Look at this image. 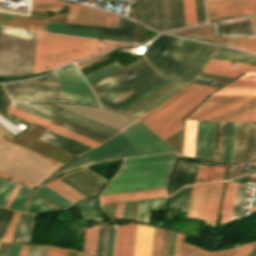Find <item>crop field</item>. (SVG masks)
<instances>
[{
    "label": "crop field",
    "instance_id": "8a807250",
    "mask_svg": "<svg viewBox=\"0 0 256 256\" xmlns=\"http://www.w3.org/2000/svg\"><path fill=\"white\" fill-rule=\"evenodd\" d=\"M211 58L256 66V57L250 54L171 36L157 46L147 61L160 75L188 87L192 82L218 87L227 80L199 75Z\"/></svg>",
    "mask_w": 256,
    "mask_h": 256
},
{
    "label": "crop field",
    "instance_id": "ac0d7876",
    "mask_svg": "<svg viewBox=\"0 0 256 256\" xmlns=\"http://www.w3.org/2000/svg\"><path fill=\"white\" fill-rule=\"evenodd\" d=\"M117 45L128 44L37 32L34 73L101 53Z\"/></svg>",
    "mask_w": 256,
    "mask_h": 256
},
{
    "label": "crop field",
    "instance_id": "34b2d1b8",
    "mask_svg": "<svg viewBox=\"0 0 256 256\" xmlns=\"http://www.w3.org/2000/svg\"><path fill=\"white\" fill-rule=\"evenodd\" d=\"M175 153L126 159L101 195L166 187Z\"/></svg>",
    "mask_w": 256,
    "mask_h": 256
},
{
    "label": "crop field",
    "instance_id": "412701ff",
    "mask_svg": "<svg viewBox=\"0 0 256 256\" xmlns=\"http://www.w3.org/2000/svg\"><path fill=\"white\" fill-rule=\"evenodd\" d=\"M35 38L36 32L0 26V75L33 73Z\"/></svg>",
    "mask_w": 256,
    "mask_h": 256
},
{
    "label": "crop field",
    "instance_id": "f4fd0767",
    "mask_svg": "<svg viewBox=\"0 0 256 256\" xmlns=\"http://www.w3.org/2000/svg\"><path fill=\"white\" fill-rule=\"evenodd\" d=\"M214 89L215 87L193 83L169 105L141 121L163 140L181 130L182 119Z\"/></svg>",
    "mask_w": 256,
    "mask_h": 256
},
{
    "label": "crop field",
    "instance_id": "dd49c442",
    "mask_svg": "<svg viewBox=\"0 0 256 256\" xmlns=\"http://www.w3.org/2000/svg\"><path fill=\"white\" fill-rule=\"evenodd\" d=\"M59 166L3 140L0 133V170L37 185Z\"/></svg>",
    "mask_w": 256,
    "mask_h": 256
},
{
    "label": "crop field",
    "instance_id": "e52e79f7",
    "mask_svg": "<svg viewBox=\"0 0 256 256\" xmlns=\"http://www.w3.org/2000/svg\"><path fill=\"white\" fill-rule=\"evenodd\" d=\"M166 78L160 76L149 64L140 70L132 78L126 80L120 85L114 87L108 92L97 97L100 105L112 109L119 110L134 100L140 98L146 93L150 92L160 83H162ZM132 91L133 93L127 97L121 99L118 102H113L112 100L121 96L122 94Z\"/></svg>",
    "mask_w": 256,
    "mask_h": 256
},
{
    "label": "crop field",
    "instance_id": "d8731c3e",
    "mask_svg": "<svg viewBox=\"0 0 256 256\" xmlns=\"http://www.w3.org/2000/svg\"><path fill=\"white\" fill-rule=\"evenodd\" d=\"M142 8L144 24L154 29L185 26L183 0H142Z\"/></svg>",
    "mask_w": 256,
    "mask_h": 256
},
{
    "label": "crop field",
    "instance_id": "5a996713",
    "mask_svg": "<svg viewBox=\"0 0 256 256\" xmlns=\"http://www.w3.org/2000/svg\"><path fill=\"white\" fill-rule=\"evenodd\" d=\"M64 5L69 11L67 23L117 27L118 16L116 15L59 0H32L31 10L57 11L63 9Z\"/></svg>",
    "mask_w": 256,
    "mask_h": 256
},
{
    "label": "crop field",
    "instance_id": "3316defc",
    "mask_svg": "<svg viewBox=\"0 0 256 256\" xmlns=\"http://www.w3.org/2000/svg\"><path fill=\"white\" fill-rule=\"evenodd\" d=\"M222 184L215 182L193 186L186 218L206 220V225L211 218L210 226H213Z\"/></svg>",
    "mask_w": 256,
    "mask_h": 256
},
{
    "label": "crop field",
    "instance_id": "28ad6ade",
    "mask_svg": "<svg viewBox=\"0 0 256 256\" xmlns=\"http://www.w3.org/2000/svg\"><path fill=\"white\" fill-rule=\"evenodd\" d=\"M187 119L256 122V105L203 104Z\"/></svg>",
    "mask_w": 256,
    "mask_h": 256
},
{
    "label": "crop field",
    "instance_id": "d1516ede",
    "mask_svg": "<svg viewBox=\"0 0 256 256\" xmlns=\"http://www.w3.org/2000/svg\"><path fill=\"white\" fill-rule=\"evenodd\" d=\"M64 25L65 24L46 22L43 31L79 35V36H86V37H93V38H101V39H108V40H114V41H125V42H131V38H126V37H132V42H135L136 30H132V29L76 25V24L65 25L70 27L98 29V32H97V30L70 28V27H64ZM96 32L97 34H102V35H114V36H126V37L102 36V35H96Z\"/></svg>",
    "mask_w": 256,
    "mask_h": 256
},
{
    "label": "crop field",
    "instance_id": "22f410ed",
    "mask_svg": "<svg viewBox=\"0 0 256 256\" xmlns=\"http://www.w3.org/2000/svg\"><path fill=\"white\" fill-rule=\"evenodd\" d=\"M72 103L99 106L76 66L71 64L55 71Z\"/></svg>",
    "mask_w": 256,
    "mask_h": 256
},
{
    "label": "crop field",
    "instance_id": "cbeb9de0",
    "mask_svg": "<svg viewBox=\"0 0 256 256\" xmlns=\"http://www.w3.org/2000/svg\"><path fill=\"white\" fill-rule=\"evenodd\" d=\"M146 155L121 133L84 156L93 164L131 156Z\"/></svg>",
    "mask_w": 256,
    "mask_h": 256
},
{
    "label": "crop field",
    "instance_id": "5142ce71",
    "mask_svg": "<svg viewBox=\"0 0 256 256\" xmlns=\"http://www.w3.org/2000/svg\"><path fill=\"white\" fill-rule=\"evenodd\" d=\"M55 105L65 108L69 111H72L76 114L84 116L93 121H96L107 127L115 129L119 132L123 131L128 126L137 122V120L129 116H126L124 114H121L112 110L99 109V108H93V107H87V106H81V105H65V104H55Z\"/></svg>",
    "mask_w": 256,
    "mask_h": 256
},
{
    "label": "crop field",
    "instance_id": "d9b57169",
    "mask_svg": "<svg viewBox=\"0 0 256 256\" xmlns=\"http://www.w3.org/2000/svg\"><path fill=\"white\" fill-rule=\"evenodd\" d=\"M239 2V4H237ZM208 22L256 13V0H206Z\"/></svg>",
    "mask_w": 256,
    "mask_h": 256
},
{
    "label": "crop field",
    "instance_id": "733c2abd",
    "mask_svg": "<svg viewBox=\"0 0 256 256\" xmlns=\"http://www.w3.org/2000/svg\"><path fill=\"white\" fill-rule=\"evenodd\" d=\"M256 155V125L236 123L232 162H250Z\"/></svg>",
    "mask_w": 256,
    "mask_h": 256
},
{
    "label": "crop field",
    "instance_id": "4a817a6b",
    "mask_svg": "<svg viewBox=\"0 0 256 256\" xmlns=\"http://www.w3.org/2000/svg\"><path fill=\"white\" fill-rule=\"evenodd\" d=\"M121 133L147 155L173 152L139 122Z\"/></svg>",
    "mask_w": 256,
    "mask_h": 256
},
{
    "label": "crop field",
    "instance_id": "bc2a9ffb",
    "mask_svg": "<svg viewBox=\"0 0 256 256\" xmlns=\"http://www.w3.org/2000/svg\"><path fill=\"white\" fill-rule=\"evenodd\" d=\"M27 105H30L32 107H35L39 110H42L46 113H49L51 115H54L58 118H61L63 120H66L70 123H73L77 126H80L82 128H85L89 131H92L96 134H99L101 136H104L108 139L112 138L114 135L118 134L119 132L117 131H114L110 128H107L105 126H102L98 123H95L93 121H90L86 118H83L81 116H78L76 114H73L69 111H66L64 109H61L57 106H54L52 104H28V103H25ZM63 111V112H62Z\"/></svg>",
    "mask_w": 256,
    "mask_h": 256
},
{
    "label": "crop field",
    "instance_id": "214f88e0",
    "mask_svg": "<svg viewBox=\"0 0 256 256\" xmlns=\"http://www.w3.org/2000/svg\"><path fill=\"white\" fill-rule=\"evenodd\" d=\"M58 180L81 192L87 197L97 195L107 181L87 168L66 175Z\"/></svg>",
    "mask_w": 256,
    "mask_h": 256
},
{
    "label": "crop field",
    "instance_id": "92a150f3",
    "mask_svg": "<svg viewBox=\"0 0 256 256\" xmlns=\"http://www.w3.org/2000/svg\"><path fill=\"white\" fill-rule=\"evenodd\" d=\"M216 122L198 121L194 157L212 161Z\"/></svg>",
    "mask_w": 256,
    "mask_h": 256
},
{
    "label": "crop field",
    "instance_id": "dafd665d",
    "mask_svg": "<svg viewBox=\"0 0 256 256\" xmlns=\"http://www.w3.org/2000/svg\"><path fill=\"white\" fill-rule=\"evenodd\" d=\"M169 33L178 34L234 48L237 47L238 42L240 40V37H217L214 33V24L178 31H171Z\"/></svg>",
    "mask_w": 256,
    "mask_h": 256
},
{
    "label": "crop field",
    "instance_id": "00972430",
    "mask_svg": "<svg viewBox=\"0 0 256 256\" xmlns=\"http://www.w3.org/2000/svg\"><path fill=\"white\" fill-rule=\"evenodd\" d=\"M183 236L184 235L177 234L174 256H245L255 244L251 243L236 249L209 253L197 247L182 243L181 240Z\"/></svg>",
    "mask_w": 256,
    "mask_h": 256
},
{
    "label": "crop field",
    "instance_id": "a9b5d70f",
    "mask_svg": "<svg viewBox=\"0 0 256 256\" xmlns=\"http://www.w3.org/2000/svg\"><path fill=\"white\" fill-rule=\"evenodd\" d=\"M12 106L15 107V108H18V109H20V110H22V111H25V112H27V113H30V114H32V115H35V116H37V117H39V118H42V119H44V120H47V121L52 122V123H54V124H57V125H59V126H61V127H64V128L69 129V130H71V131H74V132H76V133H78V134H81V135H83V136H86V137H88V138H91V139H93V140H95V141H98V142H100V143H103V142H105V141L108 140V139H106V138H104V137H101V136L96 135V134H94V133H92V132H89V131H87V130H85V129H82V128H80V127H77V126H75V125H73V124H70V123H68V122H65V121H63V120H61V119H58V118H56V117H54V116H51V115H49V114H46V113H44V112H42V111H39V110H37V109H35V108H32V107H30V106H27V105H25V104H23V103H13Z\"/></svg>",
    "mask_w": 256,
    "mask_h": 256
},
{
    "label": "crop field",
    "instance_id": "4177f3b9",
    "mask_svg": "<svg viewBox=\"0 0 256 256\" xmlns=\"http://www.w3.org/2000/svg\"><path fill=\"white\" fill-rule=\"evenodd\" d=\"M10 113H12V114H14L16 116H19V117H21V118H23L25 120H28V121H30V122H32L34 124L43 126V127L48 128L50 130H53V131H55L57 133H60V134H62L64 136H67V137H69L71 139H74V140H76L78 142H81V143H83L85 145H88V146H90L92 148H94V147H96V146H98L100 144V143L95 142V141H93L91 139H88L86 137L78 135V134H76L74 132H71V131L66 130L64 128H61L59 126H56V125H54L52 123H49V122L44 121L42 119H39V118H37L35 116H32V115L27 114L25 112H22V111H20L18 109H15L13 107L11 108Z\"/></svg>",
    "mask_w": 256,
    "mask_h": 256
},
{
    "label": "crop field",
    "instance_id": "730fd06b",
    "mask_svg": "<svg viewBox=\"0 0 256 256\" xmlns=\"http://www.w3.org/2000/svg\"><path fill=\"white\" fill-rule=\"evenodd\" d=\"M40 140L54 147L67 151L71 154H74L76 156H79L92 149L88 146H85L81 143H78L74 140H71L67 137H64L60 134H57L49 130L45 131V133L41 136Z\"/></svg>",
    "mask_w": 256,
    "mask_h": 256
},
{
    "label": "crop field",
    "instance_id": "eef30255",
    "mask_svg": "<svg viewBox=\"0 0 256 256\" xmlns=\"http://www.w3.org/2000/svg\"><path fill=\"white\" fill-rule=\"evenodd\" d=\"M203 72L234 78L243 72H256V67L211 59Z\"/></svg>",
    "mask_w": 256,
    "mask_h": 256
},
{
    "label": "crop field",
    "instance_id": "ae1a2a85",
    "mask_svg": "<svg viewBox=\"0 0 256 256\" xmlns=\"http://www.w3.org/2000/svg\"><path fill=\"white\" fill-rule=\"evenodd\" d=\"M136 225L117 227L114 256H133Z\"/></svg>",
    "mask_w": 256,
    "mask_h": 256
},
{
    "label": "crop field",
    "instance_id": "d3111659",
    "mask_svg": "<svg viewBox=\"0 0 256 256\" xmlns=\"http://www.w3.org/2000/svg\"><path fill=\"white\" fill-rule=\"evenodd\" d=\"M154 228L137 225L134 256H150Z\"/></svg>",
    "mask_w": 256,
    "mask_h": 256
},
{
    "label": "crop field",
    "instance_id": "750c4746",
    "mask_svg": "<svg viewBox=\"0 0 256 256\" xmlns=\"http://www.w3.org/2000/svg\"><path fill=\"white\" fill-rule=\"evenodd\" d=\"M166 188L101 196V203L165 196Z\"/></svg>",
    "mask_w": 256,
    "mask_h": 256
},
{
    "label": "crop field",
    "instance_id": "bd1437ed",
    "mask_svg": "<svg viewBox=\"0 0 256 256\" xmlns=\"http://www.w3.org/2000/svg\"><path fill=\"white\" fill-rule=\"evenodd\" d=\"M181 87H183V85L175 82L169 88H167L165 91H163L160 95H158L156 98L152 99L151 101L147 102L146 104H144L141 107L137 108L136 110L132 111L128 115L135 117V118L141 116L142 114L146 113L147 111H149V110L153 109L154 107L158 106L159 104L163 103L170 96H172L176 91H178Z\"/></svg>",
    "mask_w": 256,
    "mask_h": 256
},
{
    "label": "crop field",
    "instance_id": "1d83c4d3",
    "mask_svg": "<svg viewBox=\"0 0 256 256\" xmlns=\"http://www.w3.org/2000/svg\"><path fill=\"white\" fill-rule=\"evenodd\" d=\"M246 19H249V18H243V19H237V20H246ZM237 20H228V21H222V22L237 21ZM222 22H220L221 34L253 36L250 20L229 22V23H222Z\"/></svg>",
    "mask_w": 256,
    "mask_h": 256
},
{
    "label": "crop field",
    "instance_id": "120bbe31",
    "mask_svg": "<svg viewBox=\"0 0 256 256\" xmlns=\"http://www.w3.org/2000/svg\"><path fill=\"white\" fill-rule=\"evenodd\" d=\"M167 198L139 201L137 221L148 222L149 210L164 209Z\"/></svg>",
    "mask_w": 256,
    "mask_h": 256
},
{
    "label": "crop field",
    "instance_id": "d32e631a",
    "mask_svg": "<svg viewBox=\"0 0 256 256\" xmlns=\"http://www.w3.org/2000/svg\"><path fill=\"white\" fill-rule=\"evenodd\" d=\"M236 186L237 184H232V183H227L226 185L219 225L228 223L230 220Z\"/></svg>",
    "mask_w": 256,
    "mask_h": 256
},
{
    "label": "crop field",
    "instance_id": "5866460e",
    "mask_svg": "<svg viewBox=\"0 0 256 256\" xmlns=\"http://www.w3.org/2000/svg\"><path fill=\"white\" fill-rule=\"evenodd\" d=\"M44 23L45 22L42 21L0 15V25L22 27L42 31ZM35 25H37V27H34Z\"/></svg>",
    "mask_w": 256,
    "mask_h": 256
},
{
    "label": "crop field",
    "instance_id": "028f5c9d",
    "mask_svg": "<svg viewBox=\"0 0 256 256\" xmlns=\"http://www.w3.org/2000/svg\"><path fill=\"white\" fill-rule=\"evenodd\" d=\"M205 103L256 104V96L213 95Z\"/></svg>",
    "mask_w": 256,
    "mask_h": 256
},
{
    "label": "crop field",
    "instance_id": "e1f06a70",
    "mask_svg": "<svg viewBox=\"0 0 256 256\" xmlns=\"http://www.w3.org/2000/svg\"><path fill=\"white\" fill-rule=\"evenodd\" d=\"M196 121H186L182 154L192 156L194 153Z\"/></svg>",
    "mask_w": 256,
    "mask_h": 256
},
{
    "label": "crop field",
    "instance_id": "0bd39190",
    "mask_svg": "<svg viewBox=\"0 0 256 256\" xmlns=\"http://www.w3.org/2000/svg\"><path fill=\"white\" fill-rule=\"evenodd\" d=\"M235 123L226 122L221 162H231Z\"/></svg>",
    "mask_w": 256,
    "mask_h": 256
},
{
    "label": "crop field",
    "instance_id": "b80d0937",
    "mask_svg": "<svg viewBox=\"0 0 256 256\" xmlns=\"http://www.w3.org/2000/svg\"><path fill=\"white\" fill-rule=\"evenodd\" d=\"M46 186L73 203L84 198V196H82L81 194L74 191L73 189H71L70 187L66 186L65 184H63L62 182H60L58 180H56Z\"/></svg>",
    "mask_w": 256,
    "mask_h": 256
},
{
    "label": "crop field",
    "instance_id": "c035e120",
    "mask_svg": "<svg viewBox=\"0 0 256 256\" xmlns=\"http://www.w3.org/2000/svg\"><path fill=\"white\" fill-rule=\"evenodd\" d=\"M190 164L191 163L181 162V160L178 161L172 183L171 194L186 184Z\"/></svg>",
    "mask_w": 256,
    "mask_h": 256
},
{
    "label": "crop field",
    "instance_id": "c21b1889",
    "mask_svg": "<svg viewBox=\"0 0 256 256\" xmlns=\"http://www.w3.org/2000/svg\"><path fill=\"white\" fill-rule=\"evenodd\" d=\"M31 191H32L31 188H25V187L20 186L18 192L16 193L13 201L11 202V204L9 206V209L22 211L27 200H28V197H29Z\"/></svg>",
    "mask_w": 256,
    "mask_h": 256
},
{
    "label": "crop field",
    "instance_id": "03da06ac",
    "mask_svg": "<svg viewBox=\"0 0 256 256\" xmlns=\"http://www.w3.org/2000/svg\"><path fill=\"white\" fill-rule=\"evenodd\" d=\"M35 192H37L38 194L42 195L46 199L50 200L51 202H53L54 204H56L62 208L67 207L70 204H72L71 202H69L68 200L61 197L60 195H58L57 193L53 192L52 190H50L49 188H47L45 186L39 188Z\"/></svg>",
    "mask_w": 256,
    "mask_h": 256
},
{
    "label": "crop field",
    "instance_id": "b54c1fbb",
    "mask_svg": "<svg viewBox=\"0 0 256 256\" xmlns=\"http://www.w3.org/2000/svg\"><path fill=\"white\" fill-rule=\"evenodd\" d=\"M98 226L86 229L82 251L94 255Z\"/></svg>",
    "mask_w": 256,
    "mask_h": 256
},
{
    "label": "crop field",
    "instance_id": "5d738f31",
    "mask_svg": "<svg viewBox=\"0 0 256 256\" xmlns=\"http://www.w3.org/2000/svg\"><path fill=\"white\" fill-rule=\"evenodd\" d=\"M108 230L109 227L107 226H99L95 252L96 256H105L106 254Z\"/></svg>",
    "mask_w": 256,
    "mask_h": 256
},
{
    "label": "crop field",
    "instance_id": "d23c7cc5",
    "mask_svg": "<svg viewBox=\"0 0 256 256\" xmlns=\"http://www.w3.org/2000/svg\"><path fill=\"white\" fill-rule=\"evenodd\" d=\"M245 188H246V186H244V185L238 184V186H237V191H236V196H235V201H234V205H233V210H232V215H231L230 222L239 218Z\"/></svg>",
    "mask_w": 256,
    "mask_h": 256
},
{
    "label": "crop field",
    "instance_id": "425ffa30",
    "mask_svg": "<svg viewBox=\"0 0 256 256\" xmlns=\"http://www.w3.org/2000/svg\"><path fill=\"white\" fill-rule=\"evenodd\" d=\"M21 214L22 213L16 212V211L13 212L11 220L9 222V225L7 227V230L5 232V235L2 241H7V242L13 241L14 234H15L19 219L21 217Z\"/></svg>",
    "mask_w": 256,
    "mask_h": 256
},
{
    "label": "crop field",
    "instance_id": "25e5ab78",
    "mask_svg": "<svg viewBox=\"0 0 256 256\" xmlns=\"http://www.w3.org/2000/svg\"><path fill=\"white\" fill-rule=\"evenodd\" d=\"M14 187L15 184L0 181V206L4 207Z\"/></svg>",
    "mask_w": 256,
    "mask_h": 256
},
{
    "label": "crop field",
    "instance_id": "73cf0c24",
    "mask_svg": "<svg viewBox=\"0 0 256 256\" xmlns=\"http://www.w3.org/2000/svg\"><path fill=\"white\" fill-rule=\"evenodd\" d=\"M216 94L256 95V88H224Z\"/></svg>",
    "mask_w": 256,
    "mask_h": 256
},
{
    "label": "crop field",
    "instance_id": "89e229c0",
    "mask_svg": "<svg viewBox=\"0 0 256 256\" xmlns=\"http://www.w3.org/2000/svg\"><path fill=\"white\" fill-rule=\"evenodd\" d=\"M120 66L117 62L104 67L96 72H93L87 76H85L86 81L89 83L93 82L94 80L98 79L99 77L105 75L106 73L110 72L111 70L115 69L116 67Z\"/></svg>",
    "mask_w": 256,
    "mask_h": 256
},
{
    "label": "crop field",
    "instance_id": "1f2cbd36",
    "mask_svg": "<svg viewBox=\"0 0 256 256\" xmlns=\"http://www.w3.org/2000/svg\"><path fill=\"white\" fill-rule=\"evenodd\" d=\"M161 234H162V230L155 228L151 256H159Z\"/></svg>",
    "mask_w": 256,
    "mask_h": 256
},
{
    "label": "crop field",
    "instance_id": "dbb93151",
    "mask_svg": "<svg viewBox=\"0 0 256 256\" xmlns=\"http://www.w3.org/2000/svg\"><path fill=\"white\" fill-rule=\"evenodd\" d=\"M185 188L186 187L182 188L181 190L170 196L169 206L181 207Z\"/></svg>",
    "mask_w": 256,
    "mask_h": 256
},
{
    "label": "crop field",
    "instance_id": "0fb4a251",
    "mask_svg": "<svg viewBox=\"0 0 256 256\" xmlns=\"http://www.w3.org/2000/svg\"><path fill=\"white\" fill-rule=\"evenodd\" d=\"M89 202V199H85L77 204L82 212L84 219L93 217Z\"/></svg>",
    "mask_w": 256,
    "mask_h": 256
},
{
    "label": "crop field",
    "instance_id": "1d79db26",
    "mask_svg": "<svg viewBox=\"0 0 256 256\" xmlns=\"http://www.w3.org/2000/svg\"><path fill=\"white\" fill-rule=\"evenodd\" d=\"M186 90H187V87L184 86L177 93H175L172 97H170L167 101H165L163 104L159 105L158 107L154 108L153 110L147 112L146 114L142 115L141 117H139L137 119L141 120V119L145 118L146 116L152 114L153 112L157 111L158 109L166 106L168 103H170L172 100H174L176 97H178L180 94H182Z\"/></svg>",
    "mask_w": 256,
    "mask_h": 256
},
{
    "label": "crop field",
    "instance_id": "9d1cf04e",
    "mask_svg": "<svg viewBox=\"0 0 256 256\" xmlns=\"http://www.w3.org/2000/svg\"><path fill=\"white\" fill-rule=\"evenodd\" d=\"M238 48L253 51L256 53V38L242 39Z\"/></svg>",
    "mask_w": 256,
    "mask_h": 256
},
{
    "label": "crop field",
    "instance_id": "447ae74e",
    "mask_svg": "<svg viewBox=\"0 0 256 256\" xmlns=\"http://www.w3.org/2000/svg\"><path fill=\"white\" fill-rule=\"evenodd\" d=\"M197 24L205 23L203 0H195Z\"/></svg>",
    "mask_w": 256,
    "mask_h": 256
},
{
    "label": "crop field",
    "instance_id": "0765c3eb",
    "mask_svg": "<svg viewBox=\"0 0 256 256\" xmlns=\"http://www.w3.org/2000/svg\"><path fill=\"white\" fill-rule=\"evenodd\" d=\"M170 80L164 81L162 84H160L158 87H156L154 90H152L150 93L146 94L145 96L141 97L140 99L136 100L135 102L129 104L128 106L124 107L120 111L124 112L128 110L129 108L133 107L134 105L138 104L139 102L143 101L144 99L148 98L149 96L153 95L155 92H157L159 89H161L164 85H166Z\"/></svg>",
    "mask_w": 256,
    "mask_h": 256
},
{
    "label": "crop field",
    "instance_id": "db79e9e6",
    "mask_svg": "<svg viewBox=\"0 0 256 256\" xmlns=\"http://www.w3.org/2000/svg\"><path fill=\"white\" fill-rule=\"evenodd\" d=\"M167 37V35L165 34H161L160 36H158L155 40L152 41V43L150 44V46L147 48V50L145 51L144 55L147 58L150 56V54L153 52V50L156 48V46L165 38Z\"/></svg>",
    "mask_w": 256,
    "mask_h": 256
},
{
    "label": "crop field",
    "instance_id": "7b73153f",
    "mask_svg": "<svg viewBox=\"0 0 256 256\" xmlns=\"http://www.w3.org/2000/svg\"><path fill=\"white\" fill-rule=\"evenodd\" d=\"M224 168L225 167L214 166L209 182L221 180Z\"/></svg>",
    "mask_w": 256,
    "mask_h": 256
},
{
    "label": "crop field",
    "instance_id": "78b8030e",
    "mask_svg": "<svg viewBox=\"0 0 256 256\" xmlns=\"http://www.w3.org/2000/svg\"><path fill=\"white\" fill-rule=\"evenodd\" d=\"M227 87H256V80H238Z\"/></svg>",
    "mask_w": 256,
    "mask_h": 256
},
{
    "label": "crop field",
    "instance_id": "0f1d7ab4",
    "mask_svg": "<svg viewBox=\"0 0 256 256\" xmlns=\"http://www.w3.org/2000/svg\"><path fill=\"white\" fill-rule=\"evenodd\" d=\"M114 233H115V227H110L106 256H112L113 254Z\"/></svg>",
    "mask_w": 256,
    "mask_h": 256
},
{
    "label": "crop field",
    "instance_id": "e1d0b9f6",
    "mask_svg": "<svg viewBox=\"0 0 256 256\" xmlns=\"http://www.w3.org/2000/svg\"><path fill=\"white\" fill-rule=\"evenodd\" d=\"M184 10H185L186 26L192 25L190 0H184Z\"/></svg>",
    "mask_w": 256,
    "mask_h": 256
},
{
    "label": "crop field",
    "instance_id": "ae633e8c",
    "mask_svg": "<svg viewBox=\"0 0 256 256\" xmlns=\"http://www.w3.org/2000/svg\"><path fill=\"white\" fill-rule=\"evenodd\" d=\"M224 126H225V122H220V128H219V142H218L219 153H218V159H217V161H219V162H220V158H221V150H222Z\"/></svg>",
    "mask_w": 256,
    "mask_h": 256
},
{
    "label": "crop field",
    "instance_id": "d14b1444",
    "mask_svg": "<svg viewBox=\"0 0 256 256\" xmlns=\"http://www.w3.org/2000/svg\"><path fill=\"white\" fill-rule=\"evenodd\" d=\"M118 27H124V28H132V29H136V23L123 18L121 16H119V22H118Z\"/></svg>",
    "mask_w": 256,
    "mask_h": 256
},
{
    "label": "crop field",
    "instance_id": "c39391a2",
    "mask_svg": "<svg viewBox=\"0 0 256 256\" xmlns=\"http://www.w3.org/2000/svg\"><path fill=\"white\" fill-rule=\"evenodd\" d=\"M197 164L192 163L191 164V168H190V172H189V176H188V180H187V184H193L194 182V178H195V174H196V170H197Z\"/></svg>",
    "mask_w": 256,
    "mask_h": 256
},
{
    "label": "crop field",
    "instance_id": "ade564c9",
    "mask_svg": "<svg viewBox=\"0 0 256 256\" xmlns=\"http://www.w3.org/2000/svg\"><path fill=\"white\" fill-rule=\"evenodd\" d=\"M175 237H176V234L170 232L168 256H173V253H174V245H175Z\"/></svg>",
    "mask_w": 256,
    "mask_h": 256
},
{
    "label": "crop field",
    "instance_id": "c5b07064",
    "mask_svg": "<svg viewBox=\"0 0 256 256\" xmlns=\"http://www.w3.org/2000/svg\"><path fill=\"white\" fill-rule=\"evenodd\" d=\"M0 177L6 178V179H10V180H14L15 182L21 183V184H23V185H25V186H33L32 184H29V183H27V182H25V181H22V180H20V179H17V178H15V177H13V176H10V175H8V174H5V173H3V172H1V171H0Z\"/></svg>",
    "mask_w": 256,
    "mask_h": 256
},
{
    "label": "crop field",
    "instance_id": "c3a83c6f",
    "mask_svg": "<svg viewBox=\"0 0 256 256\" xmlns=\"http://www.w3.org/2000/svg\"><path fill=\"white\" fill-rule=\"evenodd\" d=\"M204 168H205L204 165L199 164L194 184L201 183L202 177H203Z\"/></svg>",
    "mask_w": 256,
    "mask_h": 256
},
{
    "label": "crop field",
    "instance_id": "fb207236",
    "mask_svg": "<svg viewBox=\"0 0 256 256\" xmlns=\"http://www.w3.org/2000/svg\"><path fill=\"white\" fill-rule=\"evenodd\" d=\"M191 188H192V186H189L186 189V193H185V197H184V201H183V205H182L181 210L187 211L189 197H190V193H191Z\"/></svg>",
    "mask_w": 256,
    "mask_h": 256
},
{
    "label": "crop field",
    "instance_id": "7312dd0a",
    "mask_svg": "<svg viewBox=\"0 0 256 256\" xmlns=\"http://www.w3.org/2000/svg\"><path fill=\"white\" fill-rule=\"evenodd\" d=\"M22 245L12 244L8 256H19Z\"/></svg>",
    "mask_w": 256,
    "mask_h": 256
},
{
    "label": "crop field",
    "instance_id": "180be81f",
    "mask_svg": "<svg viewBox=\"0 0 256 256\" xmlns=\"http://www.w3.org/2000/svg\"><path fill=\"white\" fill-rule=\"evenodd\" d=\"M67 250H57L53 248H49V252L47 256H65Z\"/></svg>",
    "mask_w": 256,
    "mask_h": 256
},
{
    "label": "crop field",
    "instance_id": "f0312440",
    "mask_svg": "<svg viewBox=\"0 0 256 256\" xmlns=\"http://www.w3.org/2000/svg\"><path fill=\"white\" fill-rule=\"evenodd\" d=\"M124 202L118 203L115 218H122Z\"/></svg>",
    "mask_w": 256,
    "mask_h": 256
},
{
    "label": "crop field",
    "instance_id": "1f1604b0",
    "mask_svg": "<svg viewBox=\"0 0 256 256\" xmlns=\"http://www.w3.org/2000/svg\"><path fill=\"white\" fill-rule=\"evenodd\" d=\"M18 188H19V186L16 185L14 191L12 192V194H11L9 200L7 201V203H6V205H5L6 208H8V206H9L10 202L12 201V199H13L15 193L17 192Z\"/></svg>",
    "mask_w": 256,
    "mask_h": 256
},
{
    "label": "crop field",
    "instance_id": "819c52e7",
    "mask_svg": "<svg viewBox=\"0 0 256 256\" xmlns=\"http://www.w3.org/2000/svg\"><path fill=\"white\" fill-rule=\"evenodd\" d=\"M191 9H192V20H193V25H195V24H196V19H195L194 0H191Z\"/></svg>",
    "mask_w": 256,
    "mask_h": 256
},
{
    "label": "crop field",
    "instance_id": "c821d689",
    "mask_svg": "<svg viewBox=\"0 0 256 256\" xmlns=\"http://www.w3.org/2000/svg\"><path fill=\"white\" fill-rule=\"evenodd\" d=\"M240 79H256V74H246Z\"/></svg>",
    "mask_w": 256,
    "mask_h": 256
},
{
    "label": "crop field",
    "instance_id": "a0ae1fb6",
    "mask_svg": "<svg viewBox=\"0 0 256 256\" xmlns=\"http://www.w3.org/2000/svg\"><path fill=\"white\" fill-rule=\"evenodd\" d=\"M27 247L28 246H25V245L22 246V250H21L20 256H25L26 251H27Z\"/></svg>",
    "mask_w": 256,
    "mask_h": 256
},
{
    "label": "crop field",
    "instance_id": "8de936bc",
    "mask_svg": "<svg viewBox=\"0 0 256 256\" xmlns=\"http://www.w3.org/2000/svg\"><path fill=\"white\" fill-rule=\"evenodd\" d=\"M252 22H253L254 34H255V37H256V17L252 18Z\"/></svg>",
    "mask_w": 256,
    "mask_h": 256
}]
</instances>
